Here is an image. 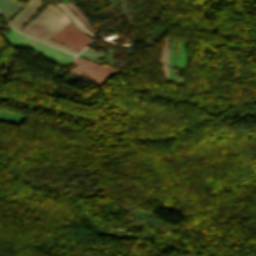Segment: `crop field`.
Masks as SVG:
<instances>
[{"label":"crop field","instance_id":"6","mask_svg":"<svg viewBox=\"0 0 256 256\" xmlns=\"http://www.w3.org/2000/svg\"><path fill=\"white\" fill-rule=\"evenodd\" d=\"M58 5L61 10L80 28L82 29L84 32H86L89 36H91L93 38V34L90 33L85 27L84 25L70 12V10L64 5V4H56Z\"/></svg>","mask_w":256,"mask_h":256},{"label":"crop field","instance_id":"1","mask_svg":"<svg viewBox=\"0 0 256 256\" xmlns=\"http://www.w3.org/2000/svg\"><path fill=\"white\" fill-rule=\"evenodd\" d=\"M70 21L60 10L50 5L23 30V33L43 42L55 45L71 53H78L66 46L48 39L66 22Z\"/></svg>","mask_w":256,"mask_h":256},{"label":"crop field","instance_id":"5","mask_svg":"<svg viewBox=\"0 0 256 256\" xmlns=\"http://www.w3.org/2000/svg\"><path fill=\"white\" fill-rule=\"evenodd\" d=\"M24 3L15 0H0V14L9 19L16 14Z\"/></svg>","mask_w":256,"mask_h":256},{"label":"crop field","instance_id":"2","mask_svg":"<svg viewBox=\"0 0 256 256\" xmlns=\"http://www.w3.org/2000/svg\"><path fill=\"white\" fill-rule=\"evenodd\" d=\"M73 62L76 63L78 66L72 69V71L87 77L88 79L99 84L100 86L103 82H105L115 73H117L108 66L85 61L78 57Z\"/></svg>","mask_w":256,"mask_h":256},{"label":"crop field","instance_id":"3","mask_svg":"<svg viewBox=\"0 0 256 256\" xmlns=\"http://www.w3.org/2000/svg\"><path fill=\"white\" fill-rule=\"evenodd\" d=\"M51 38L71 46L79 51L83 50L84 47L91 41V39L77 29L73 23L70 21L64 27H62L58 32H56Z\"/></svg>","mask_w":256,"mask_h":256},{"label":"crop field","instance_id":"4","mask_svg":"<svg viewBox=\"0 0 256 256\" xmlns=\"http://www.w3.org/2000/svg\"><path fill=\"white\" fill-rule=\"evenodd\" d=\"M40 5V0H30L25 8L10 23H8V25L19 30L23 24L37 11Z\"/></svg>","mask_w":256,"mask_h":256}]
</instances>
